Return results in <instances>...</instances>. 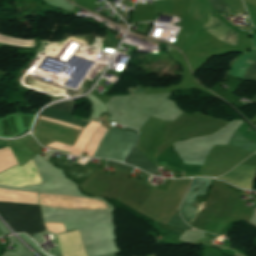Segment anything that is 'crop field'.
<instances>
[{
    "mask_svg": "<svg viewBox=\"0 0 256 256\" xmlns=\"http://www.w3.org/2000/svg\"><path fill=\"white\" fill-rule=\"evenodd\" d=\"M40 183L32 160L0 173V185L24 187ZM0 214L16 232L31 234L45 231L38 205L0 201Z\"/></svg>",
    "mask_w": 256,
    "mask_h": 256,
    "instance_id": "8a807250",
    "label": "crop field"
},
{
    "mask_svg": "<svg viewBox=\"0 0 256 256\" xmlns=\"http://www.w3.org/2000/svg\"><path fill=\"white\" fill-rule=\"evenodd\" d=\"M137 138V131L132 129L127 128L124 132L109 129L93 157L110 158L123 162L136 144Z\"/></svg>",
    "mask_w": 256,
    "mask_h": 256,
    "instance_id": "ac0d7876",
    "label": "crop field"
},
{
    "mask_svg": "<svg viewBox=\"0 0 256 256\" xmlns=\"http://www.w3.org/2000/svg\"><path fill=\"white\" fill-rule=\"evenodd\" d=\"M210 181L211 179L208 178L193 179V182L180 208L181 216L186 223L191 224V222L194 220L199 208L193 207L191 204L195 197L205 195Z\"/></svg>",
    "mask_w": 256,
    "mask_h": 256,
    "instance_id": "34b2d1b8",
    "label": "crop field"
},
{
    "mask_svg": "<svg viewBox=\"0 0 256 256\" xmlns=\"http://www.w3.org/2000/svg\"><path fill=\"white\" fill-rule=\"evenodd\" d=\"M75 105L76 104L74 103V100H72V101H65V102L55 103V104L50 105L48 107H52V108L59 109V110L65 111V112L73 113ZM48 107L42 111L40 116H44V117H47V118H51V119H54V120H58V121L68 123V124H71V125H75V126H78V127H82V128H84L85 125L87 124V122H84L82 120L74 119L71 116V114H69V113H65V112L58 111V110L48 108ZM44 117H40V118H44ZM47 118H44V119H47ZM51 119H48V120H51ZM54 120H51V121H54ZM58 121H55V122H58ZM61 122H59V123H61ZM64 123H62V124H64ZM68 124H66V125H68ZM75 126H73V127H75Z\"/></svg>",
    "mask_w": 256,
    "mask_h": 256,
    "instance_id": "412701ff",
    "label": "crop field"
},
{
    "mask_svg": "<svg viewBox=\"0 0 256 256\" xmlns=\"http://www.w3.org/2000/svg\"><path fill=\"white\" fill-rule=\"evenodd\" d=\"M252 39L253 49L236 60L229 74L241 77L245 68L256 59V34H252ZM242 78L256 80V60L246 68Z\"/></svg>",
    "mask_w": 256,
    "mask_h": 256,
    "instance_id": "f4fd0767",
    "label": "crop field"
},
{
    "mask_svg": "<svg viewBox=\"0 0 256 256\" xmlns=\"http://www.w3.org/2000/svg\"><path fill=\"white\" fill-rule=\"evenodd\" d=\"M62 256H87L78 230L57 235Z\"/></svg>",
    "mask_w": 256,
    "mask_h": 256,
    "instance_id": "dd49c442",
    "label": "crop field"
},
{
    "mask_svg": "<svg viewBox=\"0 0 256 256\" xmlns=\"http://www.w3.org/2000/svg\"><path fill=\"white\" fill-rule=\"evenodd\" d=\"M211 35L236 47L239 32L225 25L219 19L210 16V22L201 27Z\"/></svg>",
    "mask_w": 256,
    "mask_h": 256,
    "instance_id": "e52e79f7",
    "label": "crop field"
},
{
    "mask_svg": "<svg viewBox=\"0 0 256 256\" xmlns=\"http://www.w3.org/2000/svg\"><path fill=\"white\" fill-rule=\"evenodd\" d=\"M100 126V124L95 123L93 121H91V123L89 125H87L81 132L75 146L73 147V150H77V151H83L85 145L87 144L89 138L91 137V135L95 132V130ZM47 146L50 147H54L60 150H64V151H68L71 152V154L73 155H77L80 156L81 152H77V151H73L71 150L72 147L71 146H66V145H62L59 144L57 142L54 143H50Z\"/></svg>",
    "mask_w": 256,
    "mask_h": 256,
    "instance_id": "d8731c3e",
    "label": "crop field"
},
{
    "mask_svg": "<svg viewBox=\"0 0 256 256\" xmlns=\"http://www.w3.org/2000/svg\"><path fill=\"white\" fill-rule=\"evenodd\" d=\"M125 163L141 168L150 174L157 170V168L145 157L139 143L133 152L126 158Z\"/></svg>",
    "mask_w": 256,
    "mask_h": 256,
    "instance_id": "5a996713",
    "label": "crop field"
},
{
    "mask_svg": "<svg viewBox=\"0 0 256 256\" xmlns=\"http://www.w3.org/2000/svg\"><path fill=\"white\" fill-rule=\"evenodd\" d=\"M107 132V129H104L102 127H100L97 132L93 135L89 145L87 146V148L85 149L84 152L89 153L88 156H93L100 140L102 139V137L104 136V134Z\"/></svg>",
    "mask_w": 256,
    "mask_h": 256,
    "instance_id": "3316defc",
    "label": "crop field"
},
{
    "mask_svg": "<svg viewBox=\"0 0 256 256\" xmlns=\"http://www.w3.org/2000/svg\"><path fill=\"white\" fill-rule=\"evenodd\" d=\"M168 225H172V226H175V227H178V228H182V229H185V230H190V227L187 226L183 221L182 219L180 218V216H176V215H173L171 217V219L169 220L168 222ZM191 230H194L191 228Z\"/></svg>",
    "mask_w": 256,
    "mask_h": 256,
    "instance_id": "28ad6ade",
    "label": "crop field"
},
{
    "mask_svg": "<svg viewBox=\"0 0 256 256\" xmlns=\"http://www.w3.org/2000/svg\"><path fill=\"white\" fill-rule=\"evenodd\" d=\"M212 6V8L216 11L228 14L225 5L223 3V0H208ZM229 15V14H228Z\"/></svg>",
    "mask_w": 256,
    "mask_h": 256,
    "instance_id": "d1516ede",
    "label": "crop field"
},
{
    "mask_svg": "<svg viewBox=\"0 0 256 256\" xmlns=\"http://www.w3.org/2000/svg\"><path fill=\"white\" fill-rule=\"evenodd\" d=\"M107 165L108 166H111L113 168H119L121 170H124V171H127V172H131L134 168L132 167H128V166H125V165H122L120 163H117V162H113V161H107Z\"/></svg>",
    "mask_w": 256,
    "mask_h": 256,
    "instance_id": "22f410ed",
    "label": "crop field"
},
{
    "mask_svg": "<svg viewBox=\"0 0 256 256\" xmlns=\"http://www.w3.org/2000/svg\"><path fill=\"white\" fill-rule=\"evenodd\" d=\"M252 101H256V96L253 98V99H251Z\"/></svg>",
    "mask_w": 256,
    "mask_h": 256,
    "instance_id": "cbeb9de0",
    "label": "crop field"
},
{
    "mask_svg": "<svg viewBox=\"0 0 256 256\" xmlns=\"http://www.w3.org/2000/svg\"><path fill=\"white\" fill-rule=\"evenodd\" d=\"M0 235H2L1 231H0Z\"/></svg>",
    "mask_w": 256,
    "mask_h": 256,
    "instance_id": "5142ce71",
    "label": "crop field"
},
{
    "mask_svg": "<svg viewBox=\"0 0 256 256\" xmlns=\"http://www.w3.org/2000/svg\"><path fill=\"white\" fill-rule=\"evenodd\" d=\"M182 177H183V173H182Z\"/></svg>",
    "mask_w": 256,
    "mask_h": 256,
    "instance_id": "d9b57169",
    "label": "crop field"
}]
</instances>
